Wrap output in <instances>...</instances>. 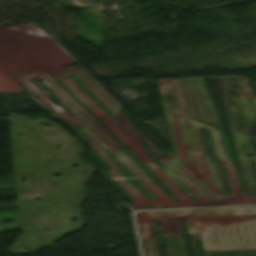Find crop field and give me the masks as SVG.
<instances>
[{
	"label": "crop field",
	"instance_id": "obj_1",
	"mask_svg": "<svg viewBox=\"0 0 256 256\" xmlns=\"http://www.w3.org/2000/svg\"><path fill=\"white\" fill-rule=\"evenodd\" d=\"M145 246L154 240L151 220H186L196 256H256V206L209 207L136 213Z\"/></svg>",
	"mask_w": 256,
	"mask_h": 256
},
{
	"label": "crop field",
	"instance_id": "obj_2",
	"mask_svg": "<svg viewBox=\"0 0 256 256\" xmlns=\"http://www.w3.org/2000/svg\"><path fill=\"white\" fill-rule=\"evenodd\" d=\"M165 236L168 234H182L179 221L160 220Z\"/></svg>",
	"mask_w": 256,
	"mask_h": 256
}]
</instances>
